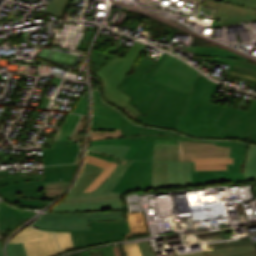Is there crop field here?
Returning a JSON list of instances; mask_svg holds the SVG:
<instances>
[{
  "label": "crop field",
  "instance_id": "obj_1",
  "mask_svg": "<svg viewBox=\"0 0 256 256\" xmlns=\"http://www.w3.org/2000/svg\"><path fill=\"white\" fill-rule=\"evenodd\" d=\"M116 184L104 181L91 195L64 197L32 226L55 230L89 229L88 221L125 220L122 192H110Z\"/></svg>",
  "mask_w": 256,
  "mask_h": 256
},
{
  "label": "crop field",
  "instance_id": "obj_2",
  "mask_svg": "<svg viewBox=\"0 0 256 256\" xmlns=\"http://www.w3.org/2000/svg\"><path fill=\"white\" fill-rule=\"evenodd\" d=\"M217 87L218 84L199 74L190 92L185 116H178V131L194 137H221L224 128L215 125L225 106L210 102Z\"/></svg>",
  "mask_w": 256,
  "mask_h": 256
},
{
  "label": "crop field",
  "instance_id": "obj_3",
  "mask_svg": "<svg viewBox=\"0 0 256 256\" xmlns=\"http://www.w3.org/2000/svg\"><path fill=\"white\" fill-rule=\"evenodd\" d=\"M145 47L146 45L136 41L124 59L116 57L95 72L104 82V89L102 92L104 93L106 100L121 108L126 106L135 116L140 114V112L134 106L127 103L132 98L115 87L128 74V71L132 68Z\"/></svg>",
  "mask_w": 256,
  "mask_h": 256
},
{
  "label": "crop field",
  "instance_id": "obj_4",
  "mask_svg": "<svg viewBox=\"0 0 256 256\" xmlns=\"http://www.w3.org/2000/svg\"><path fill=\"white\" fill-rule=\"evenodd\" d=\"M143 83L164 91L148 113L139 115L141 123L176 130L177 115H184L188 93L162 85L147 78Z\"/></svg>",
  "mask_w": 256,
  "mask_h": 256
},
{
  "label": "crop field",
  "instance_id": "obj_5",
  "mask_svg": "<svg viewBox=\"0 0 256 256\" xmlns=\"http://www.w3.org/2000/svg\"><path fill=\"white\" fill-rule=\"evenodd\" d=\"M168 54L161 55L158 61L143 59L130 77H125L117 88L132 97L133 104L142 114H146L162 91L141 83L145 77L151 79L158 67L166 60Z\"/></svg>",
  "mask_w": 256,
  "mask_h": 256
},
{
  "label": "crop field",
  "instance_id": "obj_6",
  "mask_svg": "<svg viewBox=\"0 0 256 256\" xmlns=\"http://www.w3.org/2000/svg\"><path fill=\"white\" fill-rule=\"evenodd\" d=\"M89 223L90 230L62 231L70 232L74 249L80 247H88L95 244L107 243L111 241L125 240L124 236L128 232H130L127 221H104Z\"/></svg>",
  "mask_w": 256,
  "mask_h": 256
},
{
  "label": "crop field",
  "instance_id": "obj_7",
  "mask_svg": "<svg viewBox=\"0 0 256 256\" xmlns=\"http://www.w3.org/2000/svg\"><path fill=\"white\" fill-rule=\"evenodd\" d=\"M198 73L183 61L169 55L152 80L189 93Z\"/></svg>",
  "mask_w": 256,
  "mask_h": 256
},
{
  "label": "crop field",
  "instance_id": "obj_8",
  "mask_svg": "<svg viewBox=\"0 0 256 256\" xmlns=\"http://www.w3.org/2000/svg\"><path fill=\"white\" fill-rule=\"evenodd\" d=\"M23 242L28 256H55L60 254L52 232L33 229L30 225L9 243Z\"/></svg>",
  "mask_w": 256,
  "mask_h": 256
},
{
  "label": "crop field",
  "instance_id": "obj_9",
  "mask_svg": "<svg viewBox=\"0 0 256 256\" xmlns=\"http://www.w3.org/2000/svg\"><path fill=\"white\" fill-rule=\"evenodd\" d=\"M147 140L113 138L89 142L88 150L99 151L112 156L134 159Z\"/></svg>",
  "mask_w": 256,
  "mask_h": 256
},
{
  "label": "crop field",
  "instance_id": "obj_10",
  "mask_svg": "<svg viewBox=\"0 0 256 256\" xmlns=\"http://www.w3.org/2000/svg\"><path fill=\"white\" fill-rule=\"evenodd\" d=\"M243 165L244 159L234 158V164H227L228 170L195 171L194 162H192L193 186L230 180L232 184L246 181Z\"/></svg>",
  "mask_w": 256,
  "mask_h": 256
},
{
  "label": "crop field",
  "instance_id": "obj_11",
  "mask_svg": "<svg viewBox=\"0 0 256 256\" xmlns=\"http://www.w3.org/2000/svg\"><path fill=\"white\" fill-rule=\"evenodd\" d=\"M203 5L216 9L213 18L220 19L221 25L243 21L247 23L256 20V10L254 9L213 0H206Z\"/></svg>",
  "mask_w": 256,
  "mask_h": 256
},
{
  "label": "crop field",
  "instance_id": "obj_12",
  "mask_svg": "<svg viewBox=\"0 0 256 256\" xmlns=\"http://www.w3.org/2000/svg\"><path fill=\"white\" fill-rule=\"evenodd\" d=\"M255 106L256 100H253L248 112L226 107L217 123L225 127L221 138L238 139Z\"/></svg>",
  "mask_w": 256,
  "mask_h": 256
},
{
  "label": "crop field",
  "instance_id": "obj_13",
  "mask_svg": "<svg viewBox=\"0 0 256 256\" xmlns=\"http://www.w3.org/2000/svg\"><path fill=\"white\" fill-rule=\"evenodd\" d=\"M119 120H120V126H121V134L123 138H144V139H155V140H193L191 138L181 136L174 132L144 128V127L133 125L132 123L127 121L121 113H119ZM196 141H206V140H196ZM208 142H214V141H208Z\"/></svg>",
  "mask_w": 256,
  "mask_h": 256
},
{
  "label": "crop field",
  "instance_id": "obj_14",
  "mask_svg": "<svg viewBox=\"0 0 256 256\" xmlns=\"http://www.w3.org/2000/svg\"><path fill=\"white\" fill-rule=\"evenodd\" d=\"M181 161L199 157H228L231 148L214 146V143L178 141Z\"/></svg>",
  "mask_w": 256,
  "mask_h": 256
},
{
  "label": "crop field",
  "instance_id": "obj_15",
  "mask_svg": "<svg viewBox=\"0 0 256 256\" xmlns=\"http://www.w3.org/2000/svg\"><path fill=\"white\" fill-rule=\"evenodd\" d=\"M43 192V180L25 178L0 183V195L9 202H22L21 193Z\"/></svg>",
  "mask_w": 256,
  "mask_h": 256
},
{
  "label": "crop field",
  "instance_id": "obj_16",
  "mask_svg": "<svg viewBox=\"0 0 256 256\" xmlns=\"http://www.w3.org/2000/svg\"><path fill=\"white\" fill-rule=\"evenodd\" d=\"M35 212L14 209L0 201V230H16Z\"/></svg>",
  "mask_w": 256,
  "mask_h": 256
},
{
  "label": "crop field",
  "instance_id": "obj_17",
  "mask_svg": "<svg viewBox=\"0 0 256 256\" xmlns=\"http://www.w3.org/2000/svg\"><path fill=\"white\" fill-rule=\"evenodd\" d=\"M149 243H138L142 256H154ZM184 256H256V249H254V246L226 248L217 251L202 252Z\"/></svg>",
  "mask_w": 256,
  "mask_h": 256
},
{
  "label": "crop field",
  "instance_id": "obj_18",
  "mask_svg": "<svg viewBox=\"0 0 256 256\" xmlns=\"http://www.w3.org/2000/svg\"><path fill=\"white\" fill-rule=\"evenodd\" d=\"M78 150V145L43 150L44 165L74 163Z\"/></svg>",
  "mask_w": 256,
  "mask_h": 256
},
{
  "label": "crop field",
  "instance_id": "obj_19",
  "mask_svg": "<svg viewBox=\"0 0 256 256\" xmlns=\"http://www.w3.org/2000/svg\"><path fill=\"white\" fill-rule=\"evenodd\" d=\"M170 187L192 186L191 163L169 162Z\"/></svg>",
  "mask_w": 256,
  "mask_h": 256
},
{
  "label": "crop field",
  "instance_id": "obj_20",
  "mask_svg": "<svg viewBox=\"0 0 256 256\" xmlns=\"http://www.w3.org/2000/svg\"><path fill=\"white\" fill-rule=\"evenodd\" d=\"M226 76L256 84V64L232 60Z\"/></svg>",
  "mask_w": 256,
  "mask_h": 256
},
{
  "label": "crop field",
  "instance_id": "obj_21",
  "mask_svg": "<svg viewBox=\"0 0 256 256\" xmlns=\"http://www.w3.org/2000/svg\"><path fill=\"white\" fill-rule=\"evenodd\" d=\"M103 170L104 168L87 162L79 181L71 189L70 194H67L66 196L91 194V192L83 191L99 176Z\"/></svg>",
  "mask_w": 256,
  "mask_h": 256
},
{
  "label": "crop field",
  "instance_id": "obj_22",
  "mask_svg": "<svg viewBox=\"0 0 256 256\" xmlns=\"http://www.w3.org/2000/svg\"><path fill=\"white\" fill-rule=\"evenodd\" d=\"M152 161H140L129 185L136 186L137 190L151 187Z\"/></svg>",
  "mask_w": 256,
  "mask_h": 256
},
{
  "label": "crop field",
  "instance_id": "obj_23",
  "mask_svg": "<svg viewBox=\"0 0 256 256\" xmlns=\"http://www.w3.org/2000/svg\"><path fill=\"white\" fill-rule=\"evenodd\" d=\"M78 164L67 166L44 167V182L71 181ZM62 178V180H60Z\"/></svg>",
  "mask_w": 256,
  "mask_h": 256
},
{
  "label": "crop field",
  "instance_id": "obj_24",
  "mask_svg": "<svg viewBox=\"0 0 256 256\" xmlns=\"http://www.w3.org/2000/svg\"><path fill=\"white\" fill-rule=\"evenodd\" d=\"M152 186L169 187L168 162L153 161Z\"/></svg>",
  "mask_w": 256,
  "mask_h": 256
},
{
  "label": "crop field",
  "instance_id": "obj_25",
  "mask_svg": "<svg viewBox=\"0 0 256 256\" xmlns=\"http://www.w3.org/2000/svg\"><path fill=\"white\" fill-rule=\"evenodd\" d=\"M86 161L91 162L93 164L99 165L101 167L106 168L101 175L85 190V191H93L96 187H98L116 168L117 164L115 163H110L107 161H104L102 159L88 156Z\"/></svg>",
  "mask_w": 256,
  "mask_h": 256
},
{
  "label": "crop field",
  "instance_id": "obj_26",
  "mask_svg": "<svg viewBox=\"0 0 256 256\" xmlns=\"http://www.w3.org/2000/svg\"><path fill=\"white\" fill-rule=\"evenodd\" d=\"M196 170L227 169L226 163H233V158L194 159Z\"/></svg>",
  "mask_w": 256,
  "mask_h": 256
},
{
  "label": "crop field",
  "instance_id": "obj_27",
  "mask_svg": "<svg viewBox=\"0 0 256 256\" xmlns=\"http://www.w3.org/2000/svg\"><path fill=\"white\" fill-rule=\"evenodd\" d=\"M178 145L156 144L153 159L180 161Z\"/></svg>",
  "mask_w": 256,
  "mask_h": 256
},
{
  "label": "crop field",
  "instance_id": "obj_28",
  "mask_svg": "<svg viewBox=\"0 0 256 256\" xmlns=\"http://www.w3.org/2000/svg\"><path fill=\"white\" fill-rule=\"evenodd\" d=\"M195 55L215 56V57H231L232 59L248 61V59H246L244 57H241V56L234 54L230 51H227L223 48H217V47H196Z\"/></svg>",
  "mask_w": 256,
  "mask_h": 256
},
{
  "label": "crop field",
  "instance_id": "obj_29",
  "mask_svg": "<svg viewBox=\"0 0 256 256\" xmlns=\"http://www.w3.org/2000/svg\"><path fill=\"white\" fill-rule=\"evenodd\" d=\"M80 117V115L68 114L53 141L68 140Z\"/></svg>",
  "mask_w": 256,
  "mask_h": 256
},
{
  "label": "crop field",
  "instance_id": "obj_30",
  "mask_svg": "<svg viewBox=\"0 0 256 256\" xmlns=\"http://www.w3.org/2000/svg\"><path fill=\"white\" fill-rule=\"evenodd\" d=\"M93 114L107 117H118L117 110L103 103L98 94V90L93 92Z\"/></svg>",
  "mask_w": 256,
  "mask_h": 256
},
{
  "label": "crop field",
  "instance_id": "obj_31",
  "mask_svg": "<svg viewBox=\"0 0 256 256\" xmlns=\"http://www.w3.org/2000/svg\"><path fill=\"white\" fill-rule=\"evenodd\" d=\"M244 172H246L247 180L256 179V146H248L247 148Z\"/></svg>",
  "mask_w": 256,
  "mask_h": 256
},
{
  "label": "crop field",
  "instance_id": "obj_32",
  "mask_svg": "<svg viewBox=\"0 0 256 256\" xmlns=\"http://www.w3.org/2000/svg\"><path fill=\"white\" fill-rule=\"evenodd\" d=\"M23 203L15 204L25 208H38L45 206L50 201H43V193L22 194Z\"/></svg>",
  "mask_w": 256,
  "mask_h": 256
},
{
  "label": "crop field",
  "instance_id": "obj_33",
  "mask_svg": "<svg viewBox=\"0 0 256 256\" xmlns=\"http://www.w3.org/2000/svg\"><path fill=\"white\" fill-rule=\"evenodd\" d=\"M70 2L71 0H51L43 13L63 17Z\"/></svg>",
  "mask_w": 256,
  "mask_h": 256
},
{
  "label": "crop field",
  "instance_id": "obj_34",
  "mask_svg": "<svg viewBox=\"0 0 256 256\" xmlns=\"http://www.w3.org/2000/svg\"><path fill=\"white\" fill-rule=\"evenodd\" d=\"M91 129H120L118 118L93 116Z\"/></svg>",
  "mask_w": 256,
  "mask_h": 256
},
{
  "label": "crop field",
  "instance_id": "obj_35",
  "mask_svg": "<svg viewBox=\"0 0 256 256\" xmlns=\"http://www.w3.org/2000/svg\"><path fill=\"white\" fill-rule=\"evenodd\" d=\"M138 161H133L129 168L126 170L124 175L118 181L116 187L112 191H123L124 193L129 190H136L135 187L128 186L127 183L137 165Z\"/></svg>",
  "mask_w": 256,
  "mask_h": 256
},
{
  "label": "crop field",
  "instance_id": "obj_36",
  "mask_svg": "<svg viewBox=\"0 0 256 256\" xmlns=\"http://www.w3.org/2000/svg\"><path fill=\"white\" fill-rule=\"evenodd\" d=\"M115 56H112L107 53L93 51L91 56V72H95L97 69L102 67L105 63L113 59Z\"/></svg>",
  "mask_w": 256,
  "mask_h": 256
},
{
  "label": "crop field",
  "instance_id": "obj_37",
  "mask_svg": "<svg viewBox=\"0 0 256 256\" xmlns=\"http://www.w3.org/2000/svg\"><path fill=\"white\" fill-rule=\"evenodd\" d=\"M215 145L232 147L229 157H239V158H244L246 148L248 146L246 144H242L239 142H224V141H216Z\"/></svg>",
  "mask_w": 256,
  "mask_h": 256
},
{
  "label": "crop field",
  "instance_id": "obj_38",
  "mask_svg": "<svg viewBox=\"0 0 256 256\" xmlns=\"http://www.w3.org/2000/svg\"><path fill=\"white\" fill-rule=\"evenodd\" d=\"M131 162L132 161H129V160H122L120 164L117 166V168L114 170V172L106 180L117 183V181L120 179L122 174L131 164Z\"/></svg>",
  "mask_w": 256,
  "mask_h": 256
},
{
  "label": "crop field",
  "instance_id": "obj_39",
  "mask_svg": "<svg viewBox=\"0 0 256 256\" xmlns=\"http://www.w3.org/2000/svg\"><path fill=\"white\" fill-rule=\"evenodd\" d=\"M249 135L256 137V108L244 128L240 138H249Z\"/></svg>",
  "mask_w": 256,
  "mask_h": 256
},
{
  "label": "crop field",
  "instance_id": "obj_40",
  "mask_svg": "<svg viewBox=\"0 0 256 256\" xmlns=\"http://www.w3.org/2000/svg\"><path fill=\"white\" fill-rule=\"evenodd\" d=\"M55 234H56L57 242L62 252L73 249L69 233L55 232Z\"/></svg>",
  "mask_w": 256,
  "mask_h": 256
},
{
  "label": "crop field",
  "instance_id": "obj_41",
  "mask_svg": "<svg viewBox=\"0 0 256 256\" xmlns=\"http://www.w3.org/2000/svg\"><path fill=\"white\" fill-rule=\"evenodd\" d=\"M9 256H27L22 243L8 245Z\"/></svg>",
  "mask_w": 256,
  "mask_h": 256
},
{
  "label": "crop field",
  "instance_id": "obj_42",
  "mask_svg": "<svg viewBox=\"0 0 256 256\" xmlns=\"http://www.w3.org/2000/svg\"><path fill=\"white\" fill-rule=\"evenodd\" d=\"M256 9V0H218Z\"/></svg>",
  "mask_w": 256,
  "mask_h": 256
},
{
  "label": "crop field",
  "instance_id": "obj_43",
  "mask_svg": "<svg viewBox=\"0 0 256 256\" xmlns=\"http://www.w3.org/2000/svg\"><path fill=\"white\" fill-rule=\"evenodd\" d=\"M127 256H141L138 244L123 245Z\"/></svg>",
  "mask_w": 256,
  "mask_h": 256
},
{
  "label": "crop field",
  "instance_id": "obj_44",
  "mask_svg": "<svg viewBox=\"0 0 256 256\" xmlns=\"http://www.w3.org/2000/svg\"><path fill=\"white\" fill-rule=\"evenodd\" d=\"M87 107H88V102L81 98L72 112L87 115Z\"/></svg>",
  "mask_w": 256,
  "mask_h": 256
},
{
  "label": "crop field",
  "instance_id": "obj_45",
  "mask_svg": "<svg viewBox=\"0 0 256 256\" xmlns=\"http://www.w3.org/2000/svg\"><path fill=\"white\" fill-rule=\"evenodd\" d=\"M87 154L105 159V160L110 161V162L114 161L116 163H119L121 161V159L113 158V157L108 156L106 154H100V153H97V152L89 151V152H87Z\"/></svg>",
  "mask_w": 256,
  "mask_h": 256
},
{
  "label": "crop field",
  "instance_id": "obj_46",
  "mask_svg": "<svg viewBox=\"0 0 256 256\" xmlns=\"http://www.w3.org/2000/svg\"><path fill=\"white\" fill-rule=\"evenodd\" d=\"M102 256H115L114 250L112 247L109 248H103V249H99Z\"/></svg>",
  "mask_w": 256,
  "mask_h": 256
},
{
  "label": "crop field",
  "instance_id": "obj_47",
  "mask_svg": "<svg viewBox=\"0 0 256 256\" xmlns=\"http://www.w3.org/2000/svg\"><path fill=\"white\" fill-rule=\"evenodd\" d=\"M155 141H153L151 147L149 148L148 152L145 153L142 157V159H152V153L154 149Z\"/></svg>",
  "mask_w": 256,
  "mask_h": 256
},
{
  "label": "crop field",
  "instance_id": "obj_48",
  "mask_svg": "<svg viewBox=\"0 0 256 256\" xmlns=\"http://www.w3.org/2000/svg\"><path fill=\"white\" fill-rule=\"evenodd\" d=\"M153 140H148V142L146 143V145L144 146V148L141 150V152L136 156L135 159H140L142 154L147 152L148 148L150 147L151 143Z\"/></svg>",
  "mask_w": 256,
  "mask_h": 256
},
{
  "label": "crop field",
  "instance_id": "obj_49",
  "mask_svg": "<svg viewBox=\"0 0 256 256\" xmlns=\"http://www.w3.org/2000/svg\"><path fill=\"white\" fill-rule=\"evenodd\" d=\"M56 147L59 146H65V145H73L78 144L77 141L71 140V141H63V142H54Z\"/></svg>",
  "mask_w": 256,
  "mask_h": 256
},
{
  "label": "crop field",
  "instance_id": "obj_50",
  "mask_svg": "<svg viewBox=\"0 0 256 256\" xmlns=\"http://www.w3.org/2000/svg\"><path fill=\"white\" fill-rule=\"evenodd\" d=\"M27 177H36V176H27ZM15 178H25V177H21V175L2 177L0 178V182L8 179H15Z\"/></svg>",
  "mask_w": 256,
  "mask_h": 256
},
{
  "label": "crop field",
  "instance_id": "obj_51",
  "mask_svg": "<svg viewBox=\"0 0 256 256\" xmlns=\"http://www.w3.org/2000/svg\"><path fill=\"white\" fill-rule=\"evenodd\" d=\"M49 102H50L49 99H45V98H44L39 108L46 109L47 106H48V104H49Z\"/></svg>",
  "mask_w": 256,
  "mask_h": 256
},
{
  "label": "crop field",
  "instance_id": "obj_52",
  "mask_svg": "<svg viewBox=\"0 0 256 256\" xmlns=\"http://www.w3.org/2000/svg\"><path fill=\"white\" fill-rule=\"evenodd\" d=\"M123 110L125 111V113H126L130 118H132V119L138 121V119H137L136 117H134V116L132 115V113H131L126 107H125ZM138 122H139V121H138Z\"/></svg>",
  "mask_w": 256,
  "mask_h": 256
},
{
  "label": "crop field",
  "instance_id": "obj_53",
  "mask_svg": "<svg viewBox=\"0 0 256 256\" xmlns=\"http://www.w3.org/2000/svg\"><path fill=\"white\" fill-rule=\"evenodd\" d=\"M156 143L178 144L177 141H156Z\"/></svg>",
  "mask_w": 256,
  "mask_h": 256
},
{
  "label": "crop field",
  "instance_id": "obj_54",
  "mask_svg": "<svg viewBox=\"0 0 256 256\" xmlns=\"http://www.w3.org/2000/svg\"><path fill=\"white\" fill-rule=\"evenodd\" d=\"M116 256H122L118 246L114 247Z\"/></svg>",
  "mask_w": 256,
  "mask_h": 256
},
{
  "label": "crop field",
  "instance_id": "obj_55",
  "mask_svg": "<svg viewBox=\"0 0 256 256\" xmlns=\"http://www.w3.org/2000/svg\"><path fill=\"white\" fill-rule=\"evenodd\" d=\"M7 175H8L7 170L0 171V177H2V176H7Z\"/></svg>",
  "mask_w": 256,
  "mask_h": 256
},
{
  "label": "crop field",
  "instance_id": "obj_56",
  "mask_svg": "<svg viewBox=\"0 0 256 256\" xmlns=\"http://www.w3.org/2000/svg\"><path fill=\"white\" fill-rule=\"evenodd\" d=\"M82 256H91L89 252L83 253Z\"/></svg>",
  "mask_w": 256,
  "mask_h": 256
},
{
  "label": "crop field",
  "instance_id": "obj_57",
  "mask_svg": "<svg viewBox=\"0 0 256 256\" xmlns=\"http://www.w3.org/2000/svg\"><path fill=\"white\" fill-rule=\"evenodd\" d=\"M0 256H4V255H3V251H2V249H1V245H0Z\"/></svg>",
  "mask_w": 256,
  "mask_h": 256
},
{
  "label": "crop field",
  "instance_id": "obj_58",
  "mask_svg": "<svg viewBox=\"0 0 256 256\" xmlns=\"http://www.w3.org/2000/svg\"><path fill=\"white\" fill-rule=\"evenodd\" d=\"M1 75V74H0Z\"/></svg>",
  "mask_w": 256,
  "mask_h": 256
}]
</instances>
